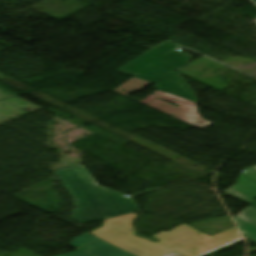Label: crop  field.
<instances>
[{
    "instance_id": "crop-field-3",
    "label": "crop field",
    "mask_w": 256,
    "mask_h": 256,
    "mask_svg": "<svg viewBox=\"0 0 256 256\" xmlns=\"http://www.w3.org/2000/svg\"><path fill=\"white\" fill-rule=\"evenodd\" d=\"M182 46L167 41L161 47L135 59L118 72L155 84L154 88L197 102L194 93L174 72L189 63L190 55L177 51Z\"/></svg>"
},
{
    "instance_id": "crop-field-1",
    "label": "crop field",
    "mask_w": 256,
    "mask_h": 256,
    "mask_svg": "<svg viewBox=\"0 0 256 256\" xmlns=\"http://www.w3.org/2000/svg\"><path fill=\"white\" fill-rule=\"evenodd\" d=\"M136 218L133 213L105 220L102 227L90 233L135 256H164L173 251L185 256H202L241 239L236 227L210 237L183 223L154 235L161 241L153 243L135 236L133 220Z\"/></svg>"
},
{
    "instance_id": "crop-field-2",
    "label": "crop field",
    "mask_w": 256,
    "mask_h": 256,
    "mask_svg": "<svg viewBox=\"0 0 256 256\" xmlns=\"http://www.w3.org/2000/svg\"><path fill=\"white\" fill-rule=\"evenodd\" d=\"M56 174L76 198L78 209L74 210L72 217L79 224L139 211L132 198L126 199L123 194L98 186L83 166L56 171Z\"/></svg>"
},
{
    "instance_id": "crop-field-5",
    "label": "crop field",
    "mask_w": 256,
    "mask_h": 256,
    "mask_svg": "<svg viewBox=\"0 0 256 256\" xmlns=\"http://www.w3.org/2000/svg\"><path fill=\"white\" fill-rule=\"evenodd\" d=\"M98 240L86 247H83L75 252L60 255V256H133L103 240H99L87 233H84L73 239L70 246L78 249L86 244Z\"/></svg>"
},
{
    "instance_id": "crop-field-8",
    "label": "crop field",
    "mask_w": 256,
    "mask_h": 256,
    "mask_svg": "<svg viewBox=\"0 0 256 256\" xmlns=\"http://www.w3.org/2000/svg\"><path fill=\"white\" fill-rule=\"evenodd\" d=\"M241 234L256 242V226L234 217Z\"/></svg>"
},
{
    "instance_id": "crop-field-9",
    "label": "crop field",
    "mask_w": 256,
    "mask_h": 256,
    "mask_svg": "<svg viewBox=\"0 0 256 256\" xmlns=\"http://www.w3.org/2000/svg\"><path fill=\"white\" fill-rule=\"evenodd\" d=\"M236 217L245 220L253 225H256V209L252 207H247L241 213H239Z\"/></svg>"
},
{
    "instance_id": "crop-field-10",
    "label": "crop field",
    "mask_w": 256,
    "mask_h": 256,
    "mask_svg": "<svg viewBox=\"0 0 256 256\" xmlns=\"http://www.w3.org/2000/svg\"><path fill=\"white\" fill-rule=\"evenodd\" d=\"M166 256H182V255H180V254H178V253H176V252H173V253H171V254H169V255H166Z\"/></svg>"
},
{
    "instance_id": "crop-field-7",
    "label": "crop field",
    "mask_w": 256,
    "mask_h": 256,
    "mask_svg": "<svg viewBox=\"0 0 256 256\" xmlns=\"http://www.w3.org/2000/svg\"><path fill=\"white\" fill-rule=\"evenodd\" d=\"M135 83H132V82ZM132 83L130 86L127 87L128 84ZM149 82L143 81L141 79L138 78H131L130 80H128L126 83H124L123 85H121L120 87H118L117 89H115V91L127 96L130 93H132L135 90H140L143 87H145L146 85H148ZM123 90H126L125 92H122Z\"/></svg>"
},
{
    "instance_id": "crop-field-6",
    "label": "crop field",
    "mask_w": 256,
    "mask_h": 256,
    "mask_svg": "<svg viewBox=\"0 0 256 256\" xmlns=\"http://www.w3.org/2000/svg\"><path fill=\"white\" fill-rule=\"evenodd\" d=\"M246 173H241L236 185L225 190L224 193L252 205L256 208V166L245 169Z\"/></svg>"
},
{
    "instance_id": "crop-field-4",
    "label": "crop field",
    "mask_w": 256,
    "mask_h": 256,
    "mask_svg": "<svg viewBox=\"0 0 256 256\" xmlns=\"http://www.w3.org/2000/svg\"><path fill=\"white\" fill-rule=\"evenodd\" d=\"M159 98L177 104L179 105V108L168 103H165L159 100ZM140 102L148 106H151L159 111H162L170 116L183 120L199 129H202L212 124L211 122H208L199 117L196 103L168 94L160 90L154 92L153 94L144 98Z\"/></svg>"
}]
</instances>
